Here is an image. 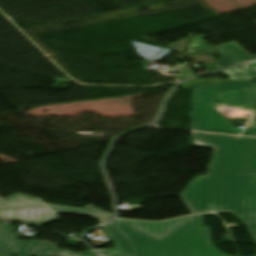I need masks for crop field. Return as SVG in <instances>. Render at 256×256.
Wrapping results in <instances>:
<instances>
[{"label":"crop field","instance_id":"34b2d1b8","mask_svg":"<svg viewBox=\"0 0 256 256\" xmlns=\"http://www.w3.org/2000/svg\"><path fill=\"white\" fill-rule=\"evenodd\" d=\"M0 219L41 227L58 220L59 217L45 201L26 194H14L7 199H0Z\"/></svg>","mask_w":256,"mask_h":256},{"label":"crop field","instance_id":"d8731c3e","mask_svg":"<svg viewBox=\"0 0 256 256\" xmlns=\"http://www.w3.org/2000/svg\"><path fill=\"white\" fill-rule=\"evenodd\" d=\"M223 72L231 75L230 79L234 81L254 79L256 78V62L244 65L243 69L236 67Z\"/></svg>","mask_w":256,"mask_h":256},{"label":"crop field","instance_id":"dd49c442","mask_svg":"<svg viewBox=\"0 0 256 256\" xmlns=\"http://www.w3.org/2000/svg\"><path fill=\"white\" fill-rule=\"evenodd\" d=\"M255 88L218 92L217 109H239L254 119Z\"/></svg>","mask_w":256,"mask_h":256},{"label":"crop field","instance_id":"3316defc","mask_svg":"<svg viewBox=\"0 0 256 256\" xmlns=\"http://www.w3.org/2000/svg\"><path fill=\"white\" fill-rule=\"evenodd\" d=\"M254 136H256V92H255V120H254Z\"/></svg>","mask_w":256,"mask_h":256},{"label":"crop field","instance_id":"412701ff","mask_svg":"<svg viewBox=\"0 0 256 256\" xmlns=\"http://www.w3.org/2000/svg\"><path fill=\"white\" fill-rule=\"evenodd\" d=\"M57 245L35 240H17L11 225L0 222V256L47 255V256H99L93 250L74 254L70 251L56 249Z\"/></svg>","mask_w":256,"mask_h":256},{"label":"crop field","instance_id":"f4fd0767","mask_svg":"<svg viewBox=\"0 0 256 256\" xmlns=\"http://www.w3.org/2000/svg\"><path fill=\"white\" fill-rule=\"evenodd\" d=\"M202 38V36L193 38L195 42H193L192 45L189 46L187 52L193 54L202 49H205L209 53L214 50L220 51L223 59L214 63L216 65L215 67L218 69L247 61L256 60V57H250L235 41L210 48L202 41Z\"/></svg>","mask_w":256,"mask_h":256},{"label":"crop field","instance_id":"ac0d7876","mask_svg":"<svg viewBox=\"0 0 256 256\" xmlns=\"http://www.w3.org/2000/svg\"><path fill=\"white\" fill-rule=\"evenodd\" d=\"M255 87L254 80L193 88L191 130L253 136L250 128L238 129L216 109L217 91Z\"/></svg>","mask_w":256,"mask_h":256},{"label":"crop field","instance_id":"5a996713","mask_svg":"<svg viewBox=\"0 0 256 256\" xmlns=\"http://www.w3.org/2000/svg\"><path fill=\"white\" fill-rule=\"evenodd\" d=\"M246 171H256V145L252 152Z\"/></svg>","mask_w":256,"mask_h":256},{"label":"crop field","instance_id":"8a807250","mask_svg":"<svg viewBox=\"0 0 256 256\" xmlns=\"http://www.w3.org/2000/svg\"><path fill=\"white\" fill-rule=\"evenodd\" d=\"M256 139L192 132L190 146L214 148L208 175L181 194L191 214L231 213L256 242V173H243ZM116 248L104 256H227L213 244L203 215L163 223L115 220L103 226Z\"/></svg>","mask_w":256,"mask_h":256},{"label":"crop field","instance_id":"e52e79f7","mask_svg":"<svg viewBox=\"0 0 256 256\" xmlns=\"http://www.w3.org/2000/svg\"><path fill=\"white\" fill-rule=\"evenodd\" d=\"M49 204V203H48ZM56 212H64V213H71V214H78V215H85L93 217L103 223L111 220L114 215L99 209L97 207H94L92 205H87L82 209L78 208H71V207H65V206H59V205H53L49 204Z\"/></svg>","mask_w":256,"mask_h":256}]
</instances>
